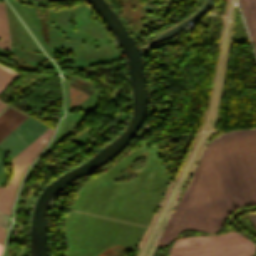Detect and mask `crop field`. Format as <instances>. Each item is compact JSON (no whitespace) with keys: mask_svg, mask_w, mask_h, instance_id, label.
<instances>
[{"mask_svg":"<svg viewBox=\"0 0 256 256\" xmlns=\"http://www.w3.org/2000/svg\"><path fill=\"white\" fill-rule=\"evenodd\" d=\"M4 105V103L0 102V107H2Z\"/></svg>","mask_w":256,"mask_h":256,"instance_id":"crop-field-9","label":"crop field"},{"mask_svg":"<svg viewBox=\"0 0 256 256\" xmlns=\"http://www.w3.org/2000/svg\"><path fill=\"white\" fill-rule=\"evenodd\" d=\"M26 118L6 104L0 108V140Z\"/></svg>","mask_w":256,"mask_h":256,"instance_id":"crop-field-3","label":"crop field"},{"mask_svg":"<svg viewBox=\"0 0 256 256\" xmlns=\"http://www.w3.org/2000/svg\"><path fill=\"white\" fill-rule=\"evenodd\" d=\"M4 235H5V231L0 229V244L2 245H3Z\"/></svg>","mask_w":256,"mask_h":256,"instance_id":"crop-field-8","label":"crop field"},{"mask_svg":"<svg viewBox=\"0 0 256 256\" xmlns=\"http://www.w3.org/2000/svg\"><path fill=\"white\" fill-rule=\"evenodd\" d=\"M48 129L29 117L24 120L0 141V170L7 165L6 153L9 152L10 159L14 158Z\"/></svg>","mask_w":256,"mask_h":256,"instance_id":"crop-field-2","label":"crop field"},{"mask_svg":"<svg viewBox=\"0 0 256 256\" xmlns=\"http://www.w3.org/2000/svg\"><path fill=\"white\" fill-rule=\"evenodd\" d=\"M0 39L9 43L8 25L4 2H0ZM0 48L11 51L10 45L0 41Z\"/></svg>","mask_w":256,"mask_h":256,"instance_id":"crop-field-4","label":"crop field"},{"mask_svg":"<svg viewBox=\"0 0 256 256\" xmlns=\"http://www.w3.org/2000/svg\"><path fill=\"white\" fill-rule=\"evenodd\" d=\"M2 247H3V246H2V245H0V253H1Z\"/></svg>","mask_w":256,"mask_h":256,"instance_id":"crop-field-10","label":"crop field"},{"mask_svg":"<svg viewBox=\"0 0 256 256\" xmlns=\"http://www.w3.org/2000/svg\"><path fill=\"white\" fill-rule=\"evenodd\" d=\"M20 73L0 65V91Z\"/></svg>","mask_w":256,"mask_h":256,"instance_id":"crop-field-5","label":"crop field"},{"mask_svg":"<svg viewBox=\"0 0 256 256\" xmlns=\"http://www.w3.org/2000/svg\"><path fill=\"white\" fill-rule=\"evenodd\" d=\"M3 216L0 214V228L6 229L9 220Z\"/></svg>","mask_w":256,"mask_h":256,"instance_id":"crop-field-7","label":"crop field"},{"mask_svg":"<svg viewBox=\"0 0 256 256\" xmlns=\"http://www.w3.org/2000/svg\"><path fill=\"white\" fill-rule=\"evenodd\" d=\"M53 130L49 129L24 151L11 160L12 167L15 171L11 183L6 187H0V211L10 215V207L15 197L19 180L25 168L33 161L36 155L47 143L52 136Z\"/></svg>","mask_w":256,"mask_h":256,"instance_id":"crop-field-1","label":"crop field"},{"mask_svg":"<svg viewBox=\"0 0 256 256\" xmlns=\"http://www.w3.org/2000/svg\"><path fill=\"white\" fill-rule=\"evenodd\" d=\"M68 87H69V93H70V110L89 97L70 86Z\"/></svg>","mask_w":256,"mask_h":256,"instance_id":"crop-field-6","label":"crop field"}]
</instances>
